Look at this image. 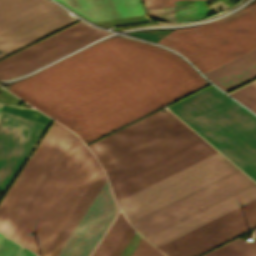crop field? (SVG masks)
Returning a JSON list of instances; mask_svg holds the SVG:
<instances>
[{"label":"crop field","instance_id":"8a807250","mask_svg":"<svg viewBox=\"0 0 256 256\" xmlns=\"http://www.w3.org/2000/svg\"><path fill=\"white\" fill-rule=\"evenodd\" d=\"M207 83L180 56L116 36L13 83L9 91L88 143Z\"/></svg>","mask_w":256,"mask_h":256},{"label":"crop field","instance_id":"ac0d7876","mask_svg":"<svg viewBox=\"0 0 256 256\" xmlns=\"http://www.w3.org/2000/svg\"><path fill=\"white\" fill-rule=\"evenodd\" d=\"M190 132L169 111H158L88 147L106 172ZM213 152L216 150L193 132L106 174L118 200Z\"/></svg>","mask_w":256,"mask_h":256},{"label":"crop field","instance_id":"34b2d1b8","mask_svg":"<svg viewBox=\"0 0 256 256\" xmlns=\"http://www.w3.org/2000/svg\"><path fill=\"white\" fill-rule=\"evenodd\" d=\"M168 108L256 181L253 114L212 85Z\"/></svg>","mask_w":256,"mask_h":256},{"label":"crop field","instance_id":"412701ff","mask_svg":"<svg viewBox=\"0 0 256 256\" xmlns=\"http://www.w3.org/2000/svg\"><path fill=\"white\" fill-rule=\"evenodd\" d=\"M158 43L180 52L204 74L256 48V2L214 22L188 27Z\"/></svg>","mask_w":256,"mask_h":256},{"label":"crop field","instance_id":"f4fd0767","mask_svg":"<svg viewBox=\"0 0 256 256\" xmlns=\"http://www.w3.org/2000/svg\"><path fill=\"white\" fill-rule=\"evenodd\" d=\"M236 170L216 152L117 202L132 223Z\"/></svg>","mask_w":256,"mask_h":256},{"label":"crop field","instance_id":"dd49c442","mask_svg":"<svg viewBox=\"0 0 256 256\" xmlns=\"http://www.w3.org/2000/svg\"><path fill=\"white\" fill-rule=\"evenodd\" d=\"M93 157L77 137L11 238L32 250Z\"/></svg>","mask_w":256,"mask_h":256},{"label":"crop field","instance_id":"e52e79f7","mask_svg":"<svg viewBox=\"0 0 256 256\" xmlns=\"http://www.w3.org/2000/svg\"><path fill=\"white\" fill-rule=\"evenodd\" d=\"M50 0H0V58L75 21Z\"/></svg>","mask_w":256,"mask_h":256},{"label":"crop field","instance_id":"d8731c3e","mask_svg":"<svg viewBox=\"0 0 256 256\" xmlns=\"http://www.w3.org/2000/svg\"><path fill=\"white\" fill-rule=\"evenodd\" d=\"M254 226L256 200L158 248L166 256H196Z\"/></svg>","mask_w":256,"mask_h":256},{"label":"crop field","instance_id":"5a996713","mask_svg":"<svg viewBox=\"0 0 256 256\" xmlns=\"http://www.w3.org/2000/svg\"><path fill=\"white\" fill-rule=\"evenodd\" d=\"M47 127L0 110V191L6 192Z\"/></svg>","mask_w":256,"mask_h":256},{"label":"crop field","instance_id":"3316defc","mask_svg":"<svg viewBox=\"0 0 256 256\" xmlns=\"http://www.w3.org/2000/svg\"><path fill=\"white\" fill-rule=\"evenodd\" d=\"M117 210L118 206L106 181L57 256H89Z\"/></svg>","mask_w":256,"mask_h":256},{"label":"crop field","instance_id":"28ad6ade","mask_svg":"<svg viewBox=\"0 0 256 256\" xmlns=\"http://www.w3.org/2000/svg\"><path fill=\"white\" fill-rule=\"evenodd\" d=\"M254 199H256V184L180 220L146 237V239L158 247Z\"/></svg>","mask_w":256,"mask_h":256},{"label":"crop field","instance_id":"d1516ede","mask_svg":"<svg viewBox=\"0 0 256 256\" xmlns=\"http://www.w3.org/2000/svg\"><path fill=\"white\" fill-rule=\"evenodd\" d=\"M254 182L245 174L188 201L138 227L136 229L144 236H148L180 219H183L217 201H220L250 185Z\"/></svg>","mask_w":256,"mask_h":256},{"label":"crop field","instance_id":"22f410ed","mask_svg":"<svg viewBox=\"0 0 256 256\" xmlns=\"http://www.w3.org/2000/svg\"><path fill=\"white\" fill-rule=\"evenodd\" d=\"M76 135L66 129L2 227L0 231L10 237L74 139Z\"/></svg>","mask_w":256,"mask_h":256},{"label":"crop field","instance_id":"cbeb9de0","mask_svg":"<svg viewBox=\"0 0 256 256\" xmlns=\"http://www.w3.org/2000/svg\"><path fill=\"white\" fill-rule=\"evenodd\" d=\"M62 125L54 121L23 170L0 203V227L65 131Z\"/></svg>","mask_w":256,"mask_h":256},{"label":"crop field","instance_id":"5142ce71","mask_svg":"<svg viewBox=\"0 0 256 256\" xmlns=\"http://www.w3.org/2000/svg\"><path fill=\"white\" fill-rule=\"evenodd\" d=\"M94 31V29L78 22L2 61H0V77Z\"/></svg>","mask_w":256,"mask_h":256},{"label":"crop field","instance_id":"d9b57169","mask_svg":"<svg viewBox=\"0 0 256 256\" xmlns=\"http://www.w3.org/2000/svg\"><path fill=\"white\" fill-rule=\"evenodd\" d=\"M90 22L143 14L139 0H57Z\"/></svg>","mask_w":256,"mask_h":256},{"label":"crop field","instance_id":"733c2abd","mask_svg":"<svg viewBox=\"0 0 256 256\" xmlns=\"http://www.w3.org/2000/svg\"><path fill=\"white\" fill-rule=\"evenodd\" d=\"M100 169L101 168L94 157L32 251L40 256L45 254Z\"/></svg>","mask_w":256,"mask_h":256},{"label":"crop field","instance_id":"4a817a6b","mask_svg":"<svg viewBox=\"0 0 256 256\" xmlns=\"http://www.w3.org/2000/svg\"><path fill=\"white\" fill-rule=\"evenodd\" d=\"M255 69H256V49L204 74V76L206 78H208L210 81H212L214 84H216L218 87H220L222 90L227 92L226 90L256 76ZM253 70H255V71H253ZM251 71H253V72H251ZM249 72H251V73H249ZM247 73H249V74H247ZM245 74H247V75H245ZM243 75H245V76H243ZM241 76H243V77H241ZM239 77H241V78H239ZM237 78H239V79H237ZM254 78H256V77H254ZM235 79H237V80H235ZM233 80H235V81H233ZM231 81H233V82H231ZM229 82H231V83H229ZM227 83H229V84H227ZM225 84H227V85H225ZM223 85H225V86H223ZM221 86H223V88H225L226 90L223 89Z\"/></svg>","mask_w":256,"mask_h":256},{"label":"crop field","instance_id":"bc2a9ffb","mask_svg":"<svg viewBox=\"0 0 256 256\" xmlns=\"http://www.w3.org/2000/svg\"><path fill=\"white\" fill-rule=\"evenodd\" d=\"M105 180L106 178L101 169V171L99 172V174L97 175V177L95 178V180L93 181V183L91 184V186L89 187V189L87 190V192L85 193V195L73 211L72 215L70 216V218L68 219V221L66 222V224L64 225V227L62 228V230L60 231V233L58 234V236L56 237V239L44 256H56V254L78 223L79 219L81 218V216L83 215V213L85 212Z\"/></svg>","mask_w":256,"mask_h":256},{"label":"crop field","instance_id":"214f88e0","mask_svg":"<svg viewBox=\"0 0 256 256\" xmlns=\"http://www.w3.org/2000/svg\"><path fill=\"white\" fill-rule=\"evenodd\" d=\"M107 34H109V33L105 32V31L97 30L96 32H94V33H92V34H90V35H88V36H86V37H84V38H82V39L64 47V48H61V49H59V50L41 58V59H39V60H37L33 63H30V64H28V65H26V66H24V67H22V68H20L16 71H14V72L2 77L1 79H7V78L19 76V75H22L26 72L32 71V70L38 68L39 66H41V65H43V64H45L49 61L55 60V59L65 55V54H67V53H69V52H71V51H73V50H75V49H77V48H79V47H81V46L99 38V37L105 36Z\"/></svg>","mask_w":256,"mask_h":256},{"label":"crop field","instance_id":"92a150f3","mask_svg":"<svg viewBox=\"0 0 256 256\" xmlns=\"http://www.w3.org/2000/svg\"><path fill=\"white\" fill-rule=\"evenodd\" d=\"M129 226L120 212L92 256H110Z\"/></svg>","mask_w":256,"mask_h":256},{"label":"crop field","instance_id":"dafd665d","mask_svg":"<svg viewBox=\"0 0 256 256\" xmlns=\"http://www.w3.org/2000/svg\"><path fill=\"white\" fill-rule=\"evenodd\" d=\"M202 256H256V239L248 243L236 238Z\"/></svg>","mask_w":256,"mask_h":256},{"label":"crop field","instance_id":"00972430","mask_svg":"<svg viewBox=\"0 0 256 256\" xmlns=\"http://www.w3.org/2000/svg\"><path fill=\"white\" fill-rule=\"evenodd\" d=\"M241 174H243V172L238 170V171H236V172H234V173H232V174H230V175H228V176H226V177H224V178H222V179H220V180H218V181H216V182H214V183H212V184H210V185H208V186H206V187H204V188H202V189H200V190H198V191H196V192H194V193H192V194H190V195H188V196H186V197H184V198H182V199H180V200H178V201H176V202H174V203H172V204H170V205H168V206H166V207H164V208H162V209H160V210H158V211H156V212H154V213H152V214H150V215H148V216H146V217H144V218H142V219H140L136 222H134V223H132V225L134 227H136V226H138V225H140V224H142V223H144V222H146V221H148V220H150V219H152V218H154V217H156V216H158V215H160V214H162V213H164V212H166V211H168V210H170V209H172V208H174V207H176V206H178V205H180V204H182V203H184L188 200H191V199H193V198H195V197H197V196H199V195H201V194H203V193H205V192H207V191H209V190H211V189H213V188H215V187H217V186H219V185H221V184H223V183H225V182H227V181H229V180H231V179H233V178H235V177H237Z\"/></svg>","mask_w":256,"mask_h":256},{"label":"crop field","instance_id":"a9b5d70f","mask_svg":"<svg viewBox=\"0 0 256 256\" xmlns=\"http://www.w3.org/2000/svg\"><path fill=\"white\" fill-rule=\"evenodd\" d=\"M230 95L256 113V81L230 93Z\"/></svg>","mask_w":256,"mask_h":256},{"label":"crop field","instance_id":"4177f3b9","mask_svg":"<svg viewBox=\"0 0 256 256\" xmlns=\"http://www.w3.org/2000/svg\"><path fill=\"white\" fill-rule=\"evenodd\" d=\"M131 256H164V255L142 237V239L138 243L137 247L135 248Z\"/></svg>","mask_w":256,"mask_h":256},{"label":"crop field","instance_id":"730fd06b","mask_svg":"<svg viewBox=\"0 0 256 256\" xmlns=\"http://www.w3.org/2000/svg\"><path fill=\"white\" fill-rule=\"evenodd\" d=\"M23 247L4 236L0 244V256H19Z\"/></svg>","mask_w":256,"mask_h":256},{"label":"crop field","instance_id":"eef30255","mask_svg":"<svg viewBox=\"0 0 256 256\" xmlns=\"http://www.w3.org/2000/svg\"><path fill=\"white\" fill-rule=\"evenodd\" d=\"M134 234L135 231L130 226V228L128 229V231L126 232V234L124 235V237L122 238V240L120 241V243L118 244V246L116 247L111 256H120V254L127 246V244L129 243Z\"/></svg>","mask_w":256,"mask_h":256},{"label":"crop field","instance_id":"ae1a2a85","mask_svg":"<svg viewBox=\"0 0 256 256\" xmlns=\"http://www.w3.org/2000/svg\"><path fill=\"white\" fill-rule=\"evenodd\" d=\"M145 9L175 6L174 0H142Z\"/></svg>","mask_w":256,"mask_h":256},{"label":"crop field","instance_id":"d3111659","mask_svg":"<svg viewBox=\"0 0 256 256\" xmlns=\"http://www.w3.org/2000/svg\"><path fill=\"white\" fill-rule=\"evenodd\" d=\"M20 256H35V254L23 248Z\"/></svg>","mask_w":256,"mask_h":256},{"label":"crop field","instance_id":"750c4746","mask_svg":"<svg viewBox=\"0 0 256 256\" xmlns=\"http://www.w3.org/2000/svg\"><path fill=\"white\" fill-rule=\"evenodd\" d=\"M3 236H4V235L0 234V242H1L2 238H3Z\"/></svg>","mask_w":256,"mask_h":256},{"label":"crop field","instance_id":"bd1437ed","mask_svg":"<svg viewBox=\"0 0 256 256\" xmlns=\"http://www.w3.org/2000/svg\"><path fill=\"white\" fill-rule=\"evenodd\" d=\"M0 107H1V105H0Z\"/></svg>","mask_w":256,"mask_h":256},{"label":"crop field","instance_id":"1d83c4d3","mask_svg":"<svg viewBox=\"0 0 256 256\" xmlns=\"http://www.w3.org/2000/svg\"><path fill=\"white\" fill-rule=\"evenodd\" d=\"M37 256V255H36Z\"/></svg>","mask_w":256,"mask_h":256}]
</instances>
